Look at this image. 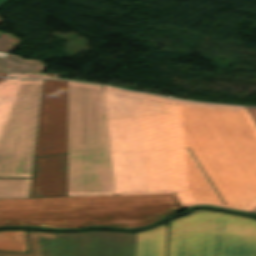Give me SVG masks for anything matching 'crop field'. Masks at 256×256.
Masks as SVG:
<instances>
[{
	"mask_svg": "<svg viewBox=\"0 0 256 256\" xmlns=\"http://www.w3.org/2000/svg\"><path fill=\"white\" fill-rule=\"evenodd\" d=\"M110 154L115 195L175 193L183 207L224 206L187 148Z\"/></svg>",
	"mask_w": 256,
	"mask_h": 256,
	"instance_id": "obj_2",
	"label": "crop field"
},
{
	"mask_svg": "<svg viewBox=\"0 0 256 256\" xmlns=\"http://www.w3.org/2000/svg\"><path fill=\"white\" fill-rule=\"evenodd\" d=\"M86 224L137 228L183 211L175 194L81 197Z\"/></svg>",
	"mask_w": 256,
	"mask_h": 256,
	"instance_id": "obj_7",
	"label": "crop field"
},
{
	"mask_svg": "<svg viewBox=\"0 0 256 256\" xmlns=\"http://www.w3.org/2000/svg\"><path fill=\"white\" fill-rule=\"evenodd\" d=\"M21 80L2 79L0 81V130L11 106Z\"/></svg>",
	"mask_w": 256,
	"mask_h": 256,
	"instance_id": "obj_17",
	"label": "crop field"
},
{
	"mask_svg": "<svg viewBox=\"0 0 256 256\" xmlns=\"http://www.w3.org/2000/svg\"><path fill=\"white\" fill-rule=\"evenodd\" d=\"M248 109H249V111H250V113H251V115H252V117H253V119L256 123V108L248 107Z\"/></svg>",
	"mask_w": 256,
	"mask_h": 256,
	"instance_id": "obj_22",
	"label": "crop field"
},
{
	"mask_svg": "<svg viewBox=\"0 0 256 256\" xmlns=\"http://www.w3.org/2000/svg\"><path fill=\"white\" fill-rule=\"evenodd\" d=\"M44 66L41 61L24 60L11 53L4 59L0 58V72H40Z\"/></svg>",
	"mask_w": 256,
	"mask_h": 256,
	"instance_id": "obj_15",
	"label": "crop field"
},
{
	"mask_svg": "<svg viewBox=\"0 0 256 256\" xmlns=\"http://www.w3.org/2000/svg\"><path fill=\"white\" fill-rule=\"evenodd\" d=\"M67 196V155L36 157L30 197Z\"/></svg>",
	"mask_w": 256,
	"mask_h": 256,
	"instance_id": "obj_13",
	"label": "crop field"
},
{
	"mask_svg": "<svg viewBox=\"0 0 256 256\" xmlns=\"http://www.w3.org/2000/svg\"><path fill=\"white\" fill-rule=\"evenodd\" d=\"M0 80H1V78H0Z\"/></svg>",
	"mask_w": 256,
	"mask_h": 256,
	"instance_id": "obj_27",
	"label": "crop field"
},
{
	"mask_svg": "<svg viewBox=\"0 0 256 256\" xmlns=\"http://www.w3.org/2000/svg\"><path fill=\"white\" fill-rule=\"evenodd\" d=\"M7 1H9V0H0V6H1L2 4L6 3Z\"/></svg>",
	"mask_w": 256,
	"mask_h": 256,
	"instance_id": "obj_23",
	"label": "crop field"
},
{
	"mask_svg": "<svg viewBox=\"0 0 256 256\" xmlns=\"http://www.w3.org/2000/svg\"><path fill=\"white\" fill-rule=\"evenodd\" d=\"M226 207L251 211L256 205V145L191 148Z\"/></svg>",
	"mask_w": 256,
	"mask_h": 256,
	"instance_id": "obj_6",
	"label": "crop field"
},
{
	"mask_svg": "<svg viewBox=\"0 0 256 256\" xmlns=\"http://www.w3.org/2000/svg\"><path fill=\"white\" fill-rule=\"evenodd\" d=\"M106 122L110 151L186 147L168 115Z\"/></svg>",
	"mask_w": 256,
	"mask_h": 256,
	"instance_id": "obj_10",
	"label": "crop field"
},
{
	"mask_svg": "<svg viewBox=\"0 0 256 256\" xmlns=\"http://www.w3.org/2000/svg\"><path fill=\"white\" fill-rule=\"evenodd\" d=\"M14 42V44H12ZM20 41L8 33L0 34V50L10 52Z\"/></svg>",
	"mask_w": 256,
	"mask_h": 256,
	"instance_id": "obj_19",
	"label": "crop field"
},
{
	"mask_svg": "<svg viewBox=\"0 0 256 256\" xmlns=\"http://www.w3.org/2000/svg\"><path fill=\"white\" fill-rule=\"evenodd\" d=\"M0 250L27 251L25 230L0 231Z\"/></svg>",
	"mask_w": 256,
	"mask_h": 256,
	"instance_id": "obj_18",
	"label": "crop field"
},
{
	"mask_svg": "<svg viewBox=\"0 0 256 256\" xmlns=\"http://www.w3.org/2000/svg\"><path fill=\"white\" fill-rule=\"evenodd\" d=\"M7 73H0V76L4 77Z\"/></svg>",
	"mask_w": 256,
	"mask_h": 256,
	"instance_id": "obj_24",
	"label": "crop field"
},
{
	"mask_svg": "<svg viewBox=\"0 0 256 256\" xmlns=\"http://www.w3.org/2000/svg\"><path fill=\"white\" fill-rule=\"evenodd\" d=\"M167 224L137 233L136 256H165Z\"/></svg>",
	"mask_w": 256,
	"mask_h": 256,
	"instance_id": "obj_14",
	"label": "crop field"
},
{
	"mask_svg": "<svg viewBox=\"0 0 256 256\" xmlns=\"http://www.w3.org/2000/svg\"><path fill=\"white\" fill-rule=\"evenodd\" d=\"M159 98L187 147L256 144L246 107Z\"/></svg>",
	"mask_w": 256,
	"mask_h": 256,
	"instance_id": "obj_4",
	"label": "crop field"
},
{
	"mask_svg": "<svg viewBox=\"0 0 256 256\" xmlns=\"http://www.w3.org/2000/svg\"><path fill=\"white\" fill-rule=\"evenodd\" d=\"M114 195L102 91L68 81V196Z\"/></svg>",
	"mask_w": 256,
	"mask_h": 256,
	"instance_id": "obj_1",
	"label": "crop field"
},
{
	"mask_svg": "<svg viewBox=\"0 0 256 256\" xmlns=\"http://www.w3.org/2000/svg\"><path fill=\"white\" fill-rule=\"evenodd\" d=\"M67 153V81L44 80L35 156Z\"/></svg>",
	"mask_w": 256,
	"mask_h": 256,
	"instance_id": "obj_11",
	"label": "crop field"
},
{
	"mask_svg": "<svg viewBox=\"0 0 256 256\" xmlns=\"http://www.w3.org/2000/svg\"><path fill=\"white\" fill-rule=\"evenodd\" d=\"M2 21L0 20V23H1Z\"/></svg>",
	"mask_w": 256,
	"mask_h": 256,
	"instance_id": "obj_26",
	"label": "crop field"
},
{
	"mask_svg": "<svg viewBox=\"0 0 256 256\" xmlns=\"http://www.w3.org/2000/svg\"><path fill=\"white\" fill-rule=\"evenodd\" d=\"M12 225L47 228L86 226L80 196L0 199V226Z\"/></svg>",
	"mask_w": 256,
	"mask_h": 256,
	"instance_id": "obj_9",
	"label": "crop field"
},
{
	"mask_svg": "<svg viewBox=\"0 0 256 256\" xmlns=\"http://www.w3.org/2000/svg\"><path fill=\"white\" fill-rule=\"evenodd\" d=\"M101 87L106 120L166 114L158 96Z\"/></svg>",
	"mask_w": 256,
	"mask_h": 256,
	"instance_id": "obj_12",
	"label": "crop field"
},
{
	"mask_svg": "<svg viewBox=\"0 0 256 256\" xmlns=\"http://www.w3.org/2000/svg\"><path fill=\"white\" fill-rule=\"evenodd\" d=\"M23 78H56V76H46V73H25Z\"/></svg>",
	"mask_w": 256,
	"mask_h": 256,
	"instance_id": "obj_20",
	"label": "crop field"
},
{
	"mask_svg": "<svg viewBox=\"0 0 256 256\" xmlns=\"http://www.w3.org/2000/svg\"><path fill=\"white\" fill-rule=\"evenodd\" d=\"M31 179H0V198L29 197Z\"/></svg>",
	"mask_w": 256,
	"mask_h": 256,
	"instance_id": "obj_16",
	"label": "crop field"
},
{
	"mask_svg": "<svg viewBox=\"0 0 256 256\" xmlns=\"http://www.w3.org/2000/svg\"><path fill=\"white\" fill-rule=\"evenodd\" d=\"M134 233H50L28 231L29 253L0 256H135Z\"/></svg>",
	"mask_w": 256,
	"mask_h": 256,
	"instance_id": "obj_8",
	"label": "crop field"
},
{
	"mask_svg": "<svg viewBox=\"0 0 256 256\" xmlns=\"http://www.w3.org/2000/svg\"><path fill=\"white\" fill-rule=\"evenodd\" d=\"M43 80H22L0 133V177H31Z\"/></svg>",
	"mask_w": 256,
	"mask_h": 256,
	"instance_id": "obj_5",
	"label": "crop field"
},
{
	"mask_svg": "<svg viewBox=\"0 0 256 256\" xmlns=\"http://www.w3.org/2000/svg\"><path fill=\"white\" fill-rule=\"evenodd\" d=\"M252 211H255V212H256V207H255Z\"/></svg>",
	"mask_w": 256,
	"mask_h": 256,
	"instance_id": "obj_25",
	"label": "crop field"
},
{
	"mask_svg": "<svg viewBox=\"0 0 256 256\" xmlns=\"http://www.w3.org/2000/svg\"><path fill=\"white\" fill-rule=\"evenodd\" d=\"M23 73H8L5 77H10V78H21Z\"/></svg>",
	"mask_w": 256,
	"mask_h": 256,
	"instance_id": "obj_21",
	"label": "crop field"
},
{
	"mask_svg": "<svg viewBox=\"0 0 256 256\" xmlns=\"http://www.w3.org/2000/svg\"><path fill=\"white\" fill-rule=\"evenodd\" d=\"M168 223V256H256L255 219L196 210Z\"/></svg>",
	"mask_w": 256,
	"mask_h": 256,
	"instance_id": "obj_3",
	"label": "crop field"
}]
</instances>
